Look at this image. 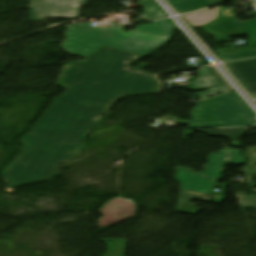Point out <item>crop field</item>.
Masks as SVG:
<instances>
[{"label":"crop field","mask_w":256,"mask_h":256,"mask_svg":"<svg viewBox=\"0 0 256 256\" xmlns=\"http://www.w3.org/2000/svg\"><path fill=\"white\" fill-rule=\"evenodd\" d=\"M28 160L26 153H24L18 160H16L8 169L4 172L16 170L19 167L23 166L25 162Z\"/></svg>","instance_id":"bc2a9ffb"},{"label":"crop field","mask_w":256,"mask_h":256,"mask_svg":"<svg viewBox=\"0 0 256 256\" xmlns=\"http://www.w3.org/2000/svg\"><path fill=\"white\" fill-rule=\"evenodd\" d=\"M248 150L244 153L245 156H248V166L256 165V147H246Z\"/></svg>","instance_id":"4a817a6b"},{"label":"crop field","mask_w":256,"mask_h":256,"mask_svg":"<svg viewBox=\"0 0 256 256\" xmlns=\"http://www.w3.org/2000/svg\"><path fill=\"white\" fill-rule=\"evenodd\" d=\"M226 1H229V0H226Z\"/></svg>","instance_id":"eef30255"},{"label":"crop field","mask_w":256,"mask_h":256,"mask_svg":"<svg viewBox=\"0 0 256 256\" xmlns=\"http://www.w3.org/2000/svg\"><path fill=\"white\" fill-rule=\"evenodd\" d=\"M242 151H233L230 150V157L228 164L232 165H245V156H241Z\"/></svg>","instance_id":"d9b57169"},{"label":"crop field","mask_w":256,"mask_h":256,"mask_svg":"<svg viewBox=\"0 0 256 256\" xmlns=\"http://www.w3.org/2000/svg\"><path fill=\"white\" fill-rule=\"evenodd\" d=\"M135 205V202L123 197L111 199L100 208L102 216L97 220L99 224L96 227H100V231H102L110 226L135 217V212L137 211Z\"/></svg>","instance_id":"e52e79f7"},{"label":"crop field","mask_w":256,"mask_h":256,"mask_svg":"<svg viewBox=\"0 0 256 256\" xmlns=\"http://www.w3.org/2000/svg\"><path fill=\"white\" fill-rule=\"evenodd\" d=\"M192 127H231L256 124L254 115L236 93L194 106Z\"/></svg>","instance_id":"34b2d1b8"},{"label":"crop field","mask_w":256,"mask_h":256,"mask_svg":"<svg viewBox=\"0 0 256 256\" xmlns=\"http://www.w3.org/2000/svg\"><path fill=\"white\" fill-rule=\"evenodd\" d=\"M92 24L67 26V39L61 47L68 54L84 58L103 46L145 56L169 41L174 29L168 20L137 26L127 33L125 27H116L115 22L112 28L91 27Z\"/></svg>","instance_id":"ac0d7876"},{"label":"crop field","mask_w":256,"mask_h":256,"mask_svg":"<svg viewBox=\"0 0 256 256\" xmlns=\"http://www.w3.org/2000/svg\"><path fill=\"white\" fill-rule=\"evenodd\" d=\"M252 199L256 201V195H250Z\"/></svg>","instance_id":"730fd06b"},{"label":"crop field","mask_w":256,"mask_h":256,"mask_svg":"<svg viewBox=\"0 0 256 256\" xmlns=\"http://www.w3.org/2000/svg\"><path fill=\"white\" fill-rule=\"evenodd\" d=\"M192 199L208 201L210 198L199 195L179 193L178 205L175 211L196 215L201 208L195 207L196 204L190 202Z\"/></svg>","instance_id":"28ad6ade"},{"label":"crop field","mask_w":256,"mask_h":256,"mask_svg":"<svg viewBox=\"0 0 256 256\" xmlns=\"http://www.w3.org/2000/svg\"><path fill=\"white\" fill-rule=\"evenodd\" d=\"M227 150L209 156L204 172H195L186 167L176 168L175 180L180 183V191L210 196L212 189L221 178L226 162Z\"/></svg>","instance_id":"412701ff"},{"label":"crop field","mask_w":256,"mask_h":256,"mask_svg":"<svg viewBox=\"0 0 256 256\" xmlns=\"http://www.w3.org/2000/svg\"><path fill=\"white\" fill-rule=\"evenodd\" d=\"M202 29L207 34L213 35L215 39L248 35L249 47L219 50L216 51L217 54L256 48V18L250 21L240 22L234 17H221L217 22L202 27Z\"/></svg>","instance_id":"f4fd0767"},{"label":"crop field","mask_w":256,"mask_h":256,"mask_svg":"<svg viewBox=\"0 0 256 256\" xmlns=\"http://www.w3.org/2000/svg\"><path fill=\"white\" fill-rule=\"evenodd\" d=\"M225 67L252 97H256V59L228 63Z\"/></svg>","instance_id":"d8731c3e"},{"label":"crop field","mask_w":256,"mask_h":256,"mask_svg":"<svg viewBox=\"0 0 256 256\" xmlns=\"http://www.w3.org/2000/svg\"><path fill=\"white\" fill-rule=\"evenodd\" d=\"M197 75L198 77L195 78V81L190 82L191 90L193 91L211 89L224 85L209 68H204Z\"/></svg>","instance_id":"5a996713"},{"label":"crop field","mask_w":256,"mask_h":256,"mask_svg":"<svg viewBox=\"0 0 256 256\" xmlns=\"http://www.w3.org/2000/svg\"><path fill=\"white\" fill-rule=\"evenodd\" d=\"M235 197L238 199V203L241 208L256 207V203L250 200L244 193L235 194Z\"/></svg>","instance_id":"733c2abd"},{"label":"crop field","mask_w":256,"mask_h":256,"mask_svg":"<svg viewBox=\"0 0 256 256\" xmlns=\"http://www.w3.org/2000/svg\"><path fill=\"white\" fill-rule=\"evenodd\" d=\"M246 184H252V174H256V167L249 168L245 167Z\"/></svg>","instance_id":"00972430"},{"label":"crop field","mask_w":256,"mask_h":256,"mask_svg":"<svg viewBox=\"0 0 256 256\" xmlns=\"http://www.w3.org/2000/svg\"><path fill=\"white\" fill-rule=\"evenodd\" d=\"M224 184H220V192L219 193H215L213 192V197H212V201L213 203H217L220 204L221 201L225 198V193H224Z\"/></svg>","instance_id":"214f88e0"},{"label":"crop field","mask_w":256,"mask_h":256,"mask_svg":"<svg viewBox=\"0 0 256 256\" xmlns=\"http://www.w3.org/2000/svg\"><path fill=\"white\" fill-rule=\"evenodd\" d=\"M247 128H237V129H221V130H195L200 132L208 133V136H223L225 138L233 140L235 137H240L246 131ZM188 134H192V130H185L183 140H187Z\"/></svg>","instance_id":"d1516ede"},{"label":"crop field","mask_w":256,"mask_h":256,"mask_svg":"<svg viewBox=\"0 0 256 256\" xmlns=\"http://www.w3.org/2000/svg\"><path fill=\"white\" fill-rule=\"evenodd\" d=\"M174 9L179 12L207 4H211L209 0H167Z\"/></svg>","instance_id":"cbeb9de0"},{"label":"crop field","mask_w":256,"mask_h":256,"mask_svg":"<svg viewBox=\"0 0 256 256\" xmlns=\"http://www.w3.org/2000/svg\"><path fill=\"white\" fill-rule=\"evenodd\" d=\"M141 58L103 47L84 61L65 64L56 85L66 92L54 98L32 130L19 139L29 160L20 169L1 174L9 186L59 174L61 163L85 149L83 140L116 99L157 93L160 85L151 73L129 67Z\"/></svg>","instance_id":"8a807250"},{"label":"crop field","mask_w":256,"mask_h":256,"mask_svg":"<svg viewBox=\"0 0 256 256\" xmlns=\"http://www.w3.org/2000/svg\"><path fill=\"white\" fill-rule=\"evenodd\" d=\"M137 4L144 8L145 12L157 9L151 0H140Z\"/></svg>","instance_id":"dafd665d"},{"label":"crop field","mask_w":256,"mask_h":256,"mask_svg":"<svg viewBox=\"0 0 256 256\" xmlns=\"http://www.w3.org/2000/svg\"><path fill=\"white\" fill-rule=\"evenodd\" d=\"M229 145L240 147V145H241V144H239V143H234V142H231Z\"/></svg>","instance_id":"4177f3b9"},{"label":"crop field","mask_w":256,"mask_h":256,"mask_svg":"<svg viewBox=\"0 0 256 256\" xmlns=\"http://www.w3.org/2000/svg\"><path fill=\"white\" fill-rule=\"evenodd\" d=\"M108 245L105 256H125L127 241L125 239H98Z\"/></svg>","instance_id":"22f410ed"},{"label":"crop field","mask_w":256,"mask_h":256,"mask_svg":"<svg viewBox=\"0 0 256 256\" xmlns=\"http://www.w3.org/2000/svg\"><path fill=\"white\" fill-rule=\"evenodd\" d=\"M210 1L213 2L214 4H218V3L222 2V0H210ZM214 4H212V5H214ZM208 6H211V5H208ZM208 6H204V7H208ZM204 7H200V8H204ZM200 8H196V9H200ZM196 9H192V10H188V11H184V12H180V13H185V12L193 11Z\"/></svg>","instance_id":"a9b5d70f"},{"label":"crop field","mask_w":256,"mask_h":256,"mask_svg":"<svg viewBox=\"0 0 256 256\" xmlns=\"http://www.w3.org/2000/svg\"><path fill=\"white\" fill-rule=\"evenodd\" d=\"M218 57H219L220 61H223V62L256 57V49L242 51V52H236V53H230V54H224V55H220Z\"/></svg>","instance_id":"5142ce71"},{"label":"crop field","mask_w":256,"mask_h":256,"mask_svg":"<svg viewBox=\"0 0 256 256\" xmlns=\"http://www.w3.org/2000/svg\"><path fill=\"white\" fill-rule=\"evenodd\" d=\"M88 0H30L31 21L46 22V17L76 19L79 7Z\"/></svg>","instance_id":"dd49c442"},{"label":"crop field","mask_w":256,"mask_h":256,"mask_svg":"<svg viewBox=\"0 0 256 256\" xmlns=\"http://www.w3.org/2000/svg\"><path fill=\"white\" fill-rule=\"evenodd\" d=\"M141 16L146 18L147 20H155V19H160L165 17L159 10L147 12L142 14Z\"/></svg>","instance_id":"92a150f3"},{"label":"crop field","mask_w":256,"mask_h":256,"mask_svg":"<svg viewBox=\"0 0 256 256\" xmlns=\"http://www.w3.org/2000/svg\"><path fill=\"white\" fill-rule=\"evenodd\" d=\"M221 7L209 10L205 9L199 12L187 14L184 17L194 27L206 25L207 23L217 20Z\"/></svg>","instance_id":"3316defc"}]
</instances>
